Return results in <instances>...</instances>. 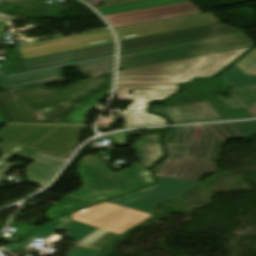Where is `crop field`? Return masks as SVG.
I'll return each mask as SVG.
<instances>
[{
  "mask_svg": "<svg viewBox=\"0 0 256 256\" xmlns=\"http://www.w3.org/2000/svg\"><path fill=\"white\" fill-rule=\"evenodd\" d=\"M139 159L140 165L149 169L163 159L161 143L132 145Z\"/></svg>",
  "mask_w": 256,
  "mask_h": 256,
  "instance_id": "bc2a9ffb",
  "label": "crop field"
},
{
  "mask_svg": "<svg viewBox=\"0 0 256 256\" xmlns=\"http://www.w3.org/2000/svg\"><path fill=\"white\" fill-rule=\"evenodd\" d=\"M17 156L36 161L26 169V176L28 182L39 187L44 186L51 180L55 172L64 162L27 149L23 150Z\"/></svg>",
  "mask_w": 256,
  "mask_h": 256,
  "instance_id": "733c2abd",
  "label": "crop field"
},
{
  "mask_svg": "<svg viewBox=\"0 0 256 256\" xmlns=\"http://www.w3.org/2000/svg\"><path fill=\"white\" fill-rule=\"evenodd\" d=\"M68 219H71V215L56 219L51 224L30 234L22 243H10L4 247L12 252L19 253L22 250V247L24 248L29 245V242H33V238L47 239L56 228Z\"/></svg>",
  "mask_w": 256,
  "mask_h": 256,
  "instance_id": "214f88e0",
  "label": "crop field"
},
{
  "mask_svg": "<svg viewBox=\"0 0 256 256\" xmlns=\"http://www.w3.org/2000/svg\"><path fill=\"white\" fill-rule=\"evenodd\" d=\"M103 138H108V139L117 138L119 145H126V142H127L125 132L124 133H119V134H112L110 136H106V137H103Z\"/></svg>",
  "mask_w": 256,
  "mask_h": 256,
  "instance_id": "5866460e",
  "label": "crop field"
},
{
  "mask_svg": "<svg viewBox=\"0 0 256 256\" xmlns=\"http://www.w3.org/2000/svg\"><path fill=\"white\" fill-rule=\"evenodd\" d=\"M250 48L121 71L116 99L132 101V89H179V83L217 74Z\"/></svg>",
  "mask_w": 256,
  "mask_h": 256,
  "instance_id": "34b2d1b8",
  "label": "crop field"
},
{
  "mask_svg": "<svg viewBox=\"0 0 256 256\" xmlns=\"http://www.w3.org/2000/svg\"><path fill=\"white\" fill-rule=\"evenodd\" d=\"M199 13L200 11L191 2H185L106 15L105 17L115 28H117Z\"/></svg>",
  "mask_w": 256,
  "mask_h": 256,
  "instance_id": "22f410ed",
  "label": "crop field"
},
{
  "mask_svg": "<svg viewBox=\"0 0 256 256\" xmlns=\"http://www.w3.org/2000/svg\"><path fill=\"white\" fill-rule=\"evenodd\" d=\"M220 22L210 13L115 29L119 40L133 39Z\"/></svg>",
  "mask_w": 256,
  "mask_h": 256,
  "instance_id": "d1516ede",
  "label": "crop field"
},
{
  "mask_svg": "<svg viewBox=\"0 0 256 256\" xmlns=\"http://www.w3.org/2000/svg\"><path fill=\"white\" fill-rule=\"evenodd\" d=\"M229 110L248 109L256 106V87L233 90L231 99L217 96Z\"/></svg>",
  "mask_w": 256,
  "mask_h": 256,
  "instance_id": "4a817a6b",
  "label": "crop field"
},
{
  "mask_svg": "<svg viewBox=\"0 0 256 256\" xmlns=\"http://www.w3.org/2000/svg\"><path fill=\"white\" fill-rule=\"evenodd\" d=\"M22 149L23 147L0 141V154H3L0 157V165H2Z\"/></svg>",
  "mask_w": 256,
  "mask_h": 256,
  "instance_id": "1d83c4d3",
  "label": "crop field"
},
{
  "mask_svg": "<svg viewBox=\"0 0 256 256\" xmlns=\"http://www.w3.org/2000/svg\"><path fill=\"white\" fill-rule=\"evenodd\" d=\"M113 58L89 62L68 67H76L85 77L112 71ZM63 67V68H68ZM62 68L0 80V86L5 90H13L26 86L64 80Z\"/></svg>",
  "mask_w": 256,
  "mask_h": 256,
  "instance_id": "28ad6ade",
  "label": "crop field"
},
{
  "mask_svg": "<svg viewBox=\"0 0 256 256\" xmlns=\"http://www.w3.org/2000/svg\"><path fill=\"white\" fill-rule=\"evenodd\" d=\"M170 118L175 124L223 120L207 100L152 111Z\"/></svg>",
  "mask_w": 256,
  "mask_h": 256,
  "instance_id": "d9b57169",
  "label": "crop field"
},
{
  "mask_svg": "<svg viewBox=\"0 0 256 256\" xmlns=\"http://www.w3.org/2000/svg\"><path fill=\"white\" fill-rule=\"evenodd\" d=\"M0 123H4V121L2 120L1 116H0Z\"/></svg>",
  "mask_w": 256,
  "mask_h": 256,
  "instance_id": "b54c1fbb",
  "label": "crop field"
},
{
  "mask_svg": "<svg viewBox=\"0 0 256 256\" xmlns=\"http://www.w3.org/2000/svg\"><path fill=\"white\" fill-rule=\"evenodd\" d=\"M159 184L108 201L155 215L156 205L183 196L200 182L157 177Z\"/></svg>",
  "mask_w": 256,
  "mask_h": 256,
  "instance_id": "d8731c3e",
  "label": "crop field"
},
{
  "mask_svg": "<svg viewBox=\"0 0 256 256\" xmlns=\"http://www.w3.org/2000/svg\"><path fill=\"white\" fill-rule=\"evenodd\" d=\"M218 78L223 79L228 86L235 89L256 86V77L247 76L235 65Z\"/></svg>",
  "mask_w": 256,
  "mask_h": 256,
  "instance_id": "92a150f3",
  "label": "crop field"
},
{
  "mask_svg": "<svg viewBox=\"0 0 256 256\" xmlns=\"http://www.w3.org/2000/svg\"><path fill=\"white\" fill-rule=\"evenodd\" d=\"M0 78H2V77L0 76Z\"/></svg>",
  "mask_w": 256,
  "mask_h": 256,
  "instance_id": "d23c7cc5",
  "label": "crop field"
},
{
  "mask_svg": "<svg viewBox=\"0 0 256 256\" xmlns=\"http://www.w3.org/2000/svg\"><path fill=\"white\" fill-rule=\"evenodd\" d=\"M186 86L205 96L206 98L215 94L217 91L229 89L225 82L218 78L198 80Z\"/></svg>",
  "mask_w": 256,
  "mask_h": 256,
  "instance_id": "00972430",
  "label": "crop field"
},
{
  "mask_svg": "<svg viewBox=\"0 0 256 256\" xmlns=\"http://www.w3.org/2000/svg\"><path fill=\"white\" fill-rule=\"evenodd\" d=\"M246 74L256 75V48L235 64Z\"/></svg>",
  "mask_w": 256,
  "mask_h": 256,
  "instance_id": "d3111659",
  "label": "crop field"
},
{
  "mask_svg": "<svg viewBox=\"0 0 256 256\" xmlns=\"http://www.w3.org/2000/svg\"><path fill=\"white\" fill-rule=\"evenodd\" d=\"M162 135L141 136V139L134 141L135 144L160 142Z\"/></svg>",
  "mask_w": 256,
  "mask_h": 256,
  "instance_id": "d32e631a",
  "label": "crop field"
},
{
  "mask_svg": "<svg viewBox=\"0 0 256 256\" xmlns=\"http://www.w3.org/2000/svg\"><path fill=\"white\" fill-rule=\"evenodd\" d=\"M10 228L17 229L10 238L20 241L23 239L28 233L34 230L37 226L27 224L21 221H12L9 225Z\"/></svg>",
  "mask_w": 256,
  "mask_h": 256,
  "instance_id": "750c4746",
  "label": "crop field"
},
{
  "mask_svg": "<svg viewBox=\"0 0 256 256\" xmlns=\"http://www.w3.org/2000/svg\"><path fill=\"white\" fill-rule=\"evenodd\" d=\"M255 45L244 33H236L182 45L120 57L119 69L137 68L170 61L182 60Z\"/></svg>",
  "mask_w": 256,
  "mask_h": 256,
  "instance_id": "dd49c442",
  "label": "crop field"
},
{
  "mask_svg": "<svg viewBox=\"0 0 256 256\" xmlns=\"http://www.w3.org/2000/svg\"><path fill=\"white\" fill-rule=\"evenodd\" d=\"M1 1H3V0H0V2ZM4 1H6V2H8V3H11V4H13V3H18V4H20V3H22V2H24V1H26V0H4Z\"/></svg>",
  "mask_w": 256,
  "mask_h": 256,
  "instance_id": "c035e120",
  "label": "crop field"
},
{
  "mask_svg": "<svg viewBox=\"0 0 256 256\" xmlns=\"http://www.w3.org/2000/svg\"><path fill=\"white\" fill-rule=\"evenodd\" d=\"M237 132V131H236ZM229 124L172 128L165 137L166 161L156 176L202 181L218 169L222 146L241 138Z\"/></svg>",
  "mask_w": 256,
  "mask_h": 256,
  "instance_id": "ac0d7876",
  "label": "crop field"
},
{
  "mask_svg": "<svg viewBox=\"0 0 256 256\" xmlns=\"http://www.w3.org/2000/svg\"><path fill=\"white\" fill-rule=\"evenodd\" d=\"M14 55H15L14 60L0 66V72L2 73L3 76H8V75L29 71L18 49L15 50Z\"/></svg>",
  "mask_w": 256,
  "mask_h": 256,
  "instance_id": "730fd06b",
  "label": "crop field"
},
{
  "mask_svg": "<svg viewBox=\"0 0 256 256\" xmlns=\"http://www.w3.org/2000/svg\"><path fill=\"white\" fill-rule=\"evenodd\" d=\"M127 136H130V131L126 132Z\"/></svg>",
  "mask_w": 256,
  "mask_h": 256,
  "instance_id": "5d738f31",
  "label": "crop field"
},
{
  "mask_svg": "<svg viewBox=\"0 0 256 256\" xmlns=\"http://www.w3.org/2000/svg\"><path fill=\"white\" fill-rule=\"evenodd\" d=\"M6 164V163H5ZM12 167H14V165L7 163L6 165H4L2 168H0V181H4V177L3 175L9 171Z\"/></svg>",
  "mask_w": 256,
  "mask_h": 256,
  "instance_id": "e1f06a70",
  "label": "crop field"
},
{
  "mask_svg": "<svg viewBox=\"0 0 256 256\" xmlns=\"http://www.w3.org/2000/svg\"><path fill=\"white\" fill-rule=\"evenodd\" d=\"M113 42L115 41L111 31L105 30L95 33L49 40L46 41L45 45L41 46L25 44L19 45L18 47L23 58L26 59Z\"/></svg>",
  "mask_w": 256,
  "mask_h": 256,
  "instance_id": "3316defc",
  "label": "crop field"
},
{
  "mask_svg": "<svg viewBox=\"0 0 256 256\" xmlns=\"http://www.w3.org/2000/svg\"><path fill=\"white\" fill-rule=\"evenodd\" d=\"M185 1H188V0H149V1L131 3V4H126V5L101 8V9H97V10L99 11V13L101 15H106V14H112V13H118V12H124V11H130V10H136V9H142V8L160 6V5H166V4H172V3H178V2H185Z\"/></svg>",
  "mask_w": 256,
  "mask_h": 256,
  "instance_id": "dafd665d",
  "label": "crop field"
},
{
  "mask_svg": "<svg viewBox=\"0 0 256 256\" xmlns=\"http://www.w3.org/2000/svg\"><path fill=\"white\" fill-rule=\"evenodd\" d=\"M137 1H143V0H105V6H114V5H120V4H126L131 2H137Z\"/></svg>",
  "mask_w": 256,
  "mask_h": 256,
  "instance_id": "028f5c9d",
  "label": "crop field"
},
{
  "mask_svg": "<svg viewBox=\"0 0 256 256\" xmlns=\"http://www.w3.org/2000/svg\"><path fill=\"white\" fill-rule=\"evenodd\" d=\"M230 125L237 131V133L242 138H246L256 134V121L234 123Z\"/></svg>",
  "mask_w": 256,
  "mask_h": 256,
  "instance_id": "bd1437ed",
  "label": "crop field"
},
{
  "mask_svg": "<svg viewBox=\"0 0 256 256\" xmlns=\"http://www.w3.org/2000/svg\"><path fill=\"white\" fill-rule=\"evenodd\" d=\"M252 117L256 116V107L247 110Z\"/></svg>",
  "mask_w": 256,
  "mask_h": 256,
  "instance_id": "c21b1889",
  "label": "crop field"
},
{
  "mask_svg": "<svg viewBox=\"0 0 256 256\" xmlns=\"http://www.w3.org/2000/svg\"><path fill=\"white\" fill-rule=\"evenodd\" d=\"M200 100H204V99L199 97L195 93L191 92L187 88H185V90L180 92L177 96H175V97L171 98L170 100H168L165 103L167 105L164 106V107H169V106H174V105H179V104L192 103V102H196V101H200ZM164 107L153 106L152 110L159 109V108H164Z\"/></svg>",
  "mask_w": 256,
  "mask_h": 256,
  "instance_id": "ae1a2a85",
  "label": "crop field"
},
{
  "mask_svg": "<svg viewBox=\"0 0 256 256\" xmlns=\"http://www.w3.org/2000/svg\"><path fill=\"white\" fill-rule=\"evenodd\" d=\"M151 216L107 202L74 213L73 220L98 228L75 245L103 250L126 230Z\"/></svg>",
  "mask_w": 256,
  "mask_h": 256,
  "instance_id": "f4fd0767",
  "label": "crop field"
},
{
  "mask_svg": "<svg viewBox=\"0 0 256 256\" xmlns=\"http://www.w3.org/2000/svg\"><path fill=\"white\" fill-rule=\"evenodd\" d=\"M166 129H167V128H164V129L147 130V132H146L145 135L163 134Z\"/></svg>",
  "mask_w": 256,
  "mask_h": 256,
  "instance_id": "b80d0937",
  "label": "crop field"
},
{
  "mask_svg": "<svg viewBox=\"0 0 256 256\" xmlns=\"http://www.w3.org/2000/svg\"><path fill=\"white\" fill-rule=\"evenodd\" d=\"M175 92L177 91H133L135 102L124 113V127L167 124L164 118L149 114L148 107L152 101H163Z\"/></svg>",
  "mask_w": 256,
  "mask_h": 256,
  "instance_id": "cbeb9de0",
  "label": "crop field"
},
{
  "mask_svg": "<svg viewBox=\"0 0 256 256\" xmlns=\"http://www.w3.org/2000/svg\"><path fill=\"white\" fill-rule=\"evenodd\" d=\"M97 157H88L78 162L77 173L81 176L82 188L64 195L89 205L155 183L151 172L137 163L133 167L114 173L101 164ZM133 180L131 183L127 180Z\"/></svg>",
  "mask_w": 256,
  "mask_h": 256,
  "instance_id": "412701ff",
  "label": "crop field"
},
{
  "mask_svg": "<svg viewBox=\"0 0 256 256\" xmlns=\"http://www.w3.org/2000/svg\"><path fill=\"white\" fill-rule=\"evenodd\" d=\"M59 229L69 231V233L65 237L79 242L97 228L79 222L71 221L60 227Z\"/></svg>",
  "mask_w": 256,
  "mask_h": 256,
  "instance_id": "4177f3b9",
  "label": "crop field"
},
{
  "mask_svg": "<svg viewBox=\"0 0 256 256\" xmlns=\"http://www.w3.org/2000/svg\"><path fill=\"white\" fill-rule=\"evenodd\" d=\"M52 126L6 125L0 129V140L26 146ZM83 127L55 126L32 144L31 149L67 159L78 145Z\"/></svg>",
  "mask_w": 256,
  "mask_h": 256,
  "instance_id": "e52e79f7",
  "label": "crop field"
},
{
  "mask_svg": "<svg viewBox=\"0 0 256 256\" xmlns=\"http://www.w3.org/2000/svg\"><path fill=\"white\" fill-rule=\"evenodd\" d=\"M240 32L238 29L228 27L222 23L207 25L197 28H191L181 31H175L165 34H159L149 37H143L133 40L122 41L121 52L122 54L143 51L178 43H184L219 35Z\"/></svg>",
  "mask_w": 256,
  "mask_h": 256,
  "instance_id": "5a996713",
  "label": "crop field"
},
{
  "mask_svg": "<svg viewBox=\"0 0 256 256\" xmlns=\"http://www.w3.org/2000/svg\"><path fill=\"white\" fill-rule=\"evenodd\" d=\"M115 54V43L70 52L26 59L30 71L54 67Z\"/></svg>",
  "mask_w": 256,
  "mask_h": 256,
  "instance_id": "5142ce71",
  "label": "crop field"
},
{
  "mask_svg": "<svg viewBox=\"0 0 256 256\" xmlns=\"http://www.w3.org/2000/svg\"><path fill=\"white\" fill-rule=\"evenodd\" d=\"M112 73L52 92L36 86L0 94V113L7 123L58 124L63 123L75 107L109 89Z\"/></svg>",
  "mask_w": 256,
  "mask_h": 256,
  "instance_id": "8a807250",
  "label": "crop field"
},
{
  "mask_svg": "<svg viewBox=\"0 0 256 256\" xmlns=\"http://www.w3.org/2000/svg\"><path fill=\"white\" fill-rule=\"evenodd\" d=\"M112 91V90H111ZM111 91L97 96L81 105H79L78 109L73 113V115L68 119L65 124H83L85 120V115L89 111V106L104 99L106 96L110 95Z\"/></svg>",
  "mask_w": 256,
  "mask_h": 256,
  "instance_id": "eef30255",
  "label": "crop field"
},
{
  "mask_svg": "<svg viewBox=\"0 0 256 256\" xmlns=\"http://www.w3.org/2000/svg\"><path fill=\"white\" fill-rule=\"evenodd\" d=\"M9 16L7 14L0 13V17Z\"/></svg>",
  "mask_w": 256,
  "mask_h": 256,
  "instance_id": "03da06ac",
  "label": "crop field"
},
{
  "mask_svg": "<svg viewBox=\"0 0 256 256\" xmlns=\"http://www.w3.org/2000/svg\"><path fill=\"white\" fill-rule=\"evenodd\" d=\"M87 206L89 205L63 197L52 209L48 211L47 218L51 220L55 217L73 212Z\"/></svg>",
  "mask_w": 256,
  "mask_h": 256,
  "instance_id": "a9b5d70f",
  "label": "crop field"
},
{
  "mask_svg": "<svg viewBox=\"0 0 256 256\" xmlns=\"http://www.w3.org/2000/svg\"><path fill=\"white\" fill-rule=\"evenodd\" d=\"M72 247L65 256H99L100 251Z\"/></svg>",
  "mask_w": 256,
  "mask_h": 256,
  "instance_id": "120bbe31",
  "label": "crop field"
},
{
  "mask_svg": "<svg viewBox=\"0 0 256 256\" xmlns=\"http://www.w3.org/2000/svg\"><path fill=\"white\" fill-rule=\"evenodd\" d=\"M7 27H8V24L6 21L0 22V40L3 37Z\"/></svg>",
  "mask_w": 256,
  "mask_h": 256,
  "instance_id": "0bd39190",
  "label": "crop field"
}]
</instances>
